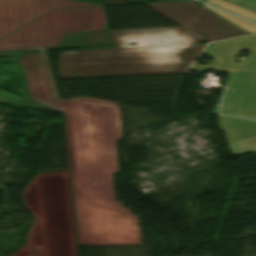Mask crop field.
Listing matches in <instances>:
<instances>
[{
    "label": "crop field",
    "instance_id": "crop-field-1",
    "mask_svg": "<svg viewBox=\"0 0 256 256\" xmlns=\"http://www.w3.org/2000/svg\"><path fill=\"white\" fill-rule=\"evenodd\" d=\"M112 33L115 49L62 52L60 77L184 73L205 45H198L199 41L182 27ZM129 42H138V45L130 46Z\"/></svg>",
    "mask_w": 256,
    "mask_h": 256
},
{
    "label": "crop field",
    "instance_id": "crop-field-2",
    "mask_svg": "<svg viewBox=\"0 0 256 256\" xmlns=\"http://www.w3.org/2000/svg\"><path fill=\"white\" fill-rule=\"evenodd\" d=\"M243 49L250 50V55L235 62ZM204 53L215 60L203 66L195 64L192 70L229 71L220 113L256 119V35L209 44Z\"/></svg>",
    "mask_w": 256,
    "mask_h": 256
},
{
    "label": "crop field",
    "instance_id": "crop-field-3",
    "mask_svg": "<svg viewBox=\"0 0 256 256\" xmlns=\"http://www.w3.org/2000/svg\"><path fill=\"white\" fill-rule=\"evenodd\" d=\"M197 3L196 0H190L147 5L185 27L187 33L201 42L248 34L209 10L196 5Z\"/></svg>",
    "mask_w": 256,
    "mask_h": 256
},
{
    "label": "crop field",
    "instance_id": "crop-field-4",
    "mask_svg": "<svg viewBox=\"0 0 256 256\" xmlns=\"http://www.w3.org/2000/svg\"><path fill=\"white\" fill-rule=\"evenodd\" d=\"M112 45L108 31L64 33L61 48Z\"/></svg>",
    "mask_w": 256,
    "mask_h": 256
},
{
    "label": "crop field",
    "instance_id": "crop-field-5",
    "mask_svg": "<svg viewBox=\"0 0 256 256\" xmlns=\"http://www.w3.org/2000/svg\"><path fill=\"white\" fill-rule=\"evenodd\" d=\"M221 130L226 132L227 141L233 142L256 135V122L218 116Z\"/></svg>",
    "mask_w": 256,
    "mask_h": 256
},
{
    "label": "crop field",
    "instance_id": "crop-field-6",
    "mask_svg": "<svg viewBox=\"0 0 256 256\" xmlns=\"http://www.w3.org/2000/svg\"><path fill=\"white\" fill-rule=\"evenodd\" d=\"M203 1L256 22V13L250 10L244 9L242 7H239L237 5H234L224 0H203Z\"/></svg>",
    "mask_w": 256,
    "mask_h": 256
},
{
    "label": "crop field",
    "instance_id": "crop-field-7",
    "mask_svg": "<svg viewBox=\"0 0 256 256\" xmlns=\"http://www.w3.org/2000/svg\"><path fill=\"white\" fill-rule=\"evenodd\" d=\"M202 5L205 8L209 9L210 11L216 13L217 15L221 16L222 18H224V19L228 20L229 22L233 23L234 25L238 26L239 28L245 30L246 32H248L250 34L256 33V25L255 24H252L248 21L237 18V17L232 16L230 14L224 13L222 11L214 9L210 6L205 5V4H202Z\"/></svg>",
    "mask_w": 256,
    "mask_h": 256
},
{
    "label": "crop field",
    "instance_id": "crop-field-8",
    "mask_svg": "<svg viewBox=\"0 0 256 256\" xmlns=\"http://www.w3.org/2000/svg\"><path fill=\"white\" fill-rule=\"evenodd\" d=\"M233 154L256 151V136L228 144Z\"/></svg>",
    "mask_w": 256,
    "mask_h": 256
},
{
    "label": "crop field",
    "instance_id": "crop-field-9",
    "mask_svg": "<svg viewBox=\"0 0 256 256\" xmlns=\"http://www.w3.org/2000/svg\"><path fill=\"white\" fill-rule=\"evenodd\" d=\"M227 1L256 12V0H227Z\"/></svg>",
    "mask_w": 256,
    "mask_h": 256
},
{
    "label": "crop field",
    "instance_id": "crop-field-10",
    "mask_svg": "<svg viewBox=\"0 0 256 256\" xmlns=\"http://www.w3.org/2000/svg\"><path fill=\"white\" fill-rule=\"evenodd\" d=\"M125 1H128L130 3H135V2H149L151 0H125Z\"/></svg>",
    "mask_w": 256,
    "mask_h": 256
},
{
    "label": "crop field",
    "instance_id": "crop-field-11",
    "mask_svg": "<svg viewBox=\"0 0 256 256\" xmlns=\"http://www.w3.org/2000/svg\"><path fill=\"white\" fill-rule=\"evenodd\" d=\"M157 1H166V0H157Z\"/></svg>",
    "mask_w": 256,
    "mask_h": 256
}]
</instances>
